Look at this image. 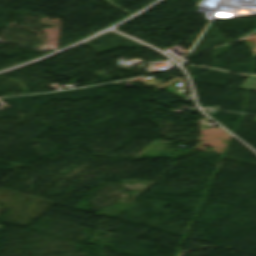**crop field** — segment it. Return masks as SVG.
I'll list each match as a JSON object with an SVG mask.
<instances>
[{
  "label": "crop field",
  "mask_w": 256,
  "mask_h": 256,
  "mask_svg": "<svg viewBox=\"0 0 256 256\" xmlns=\"http://www.w3.org/2000/svg\"><path fill=\"white\" fill-rule=\"evenodd\" d=\"M240 88L256 90V77H250Z\"/></svg>",
  "instance_id": "1"
},
{
  "label": "crop field",
  "mask_w": 256,
  "mask_h": 256,
  "mask_svg": "<svg viewBox=\"0 0 256 256\" xmlns=\"http://www.w3.org/2000/svg\"><path fill=\"white\" fill-rule=\"evenodd\" d=\"M246 45L250 48L251 52H253V56H256V37L246 39Z\"/></svg>",
  "instance_id": "2"
},
{
  "label": "crop field",
  "mask_w": 256,
  "mask_h": 256,
  "mask_svg": "<svg viewBox=\"0 0 256 256\" xmlns=\"http://www.w3.org/2000/svg\"><path fill=\"white\" fill-rule=\"evenodd\" d=\"M253 35H256V32H254L253 34H251V35H249V36H253ZM249 36H247V37H249Z\"/></svg>",
  "instance_id": "3"
}]
</instances>
